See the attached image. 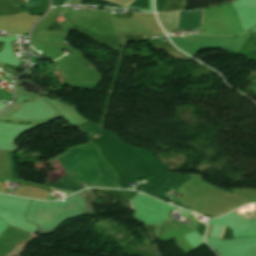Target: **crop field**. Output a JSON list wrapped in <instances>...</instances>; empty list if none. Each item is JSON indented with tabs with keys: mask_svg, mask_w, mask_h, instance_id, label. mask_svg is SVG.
I'll return each instance as SVG.
<instances>
[{
	"mask_svg": "<svg viewBox=\"0 0 256 256\" xmlns=\"http://www.w3.org/2000/svg\"><path fill=\"white\" fill-rule=\"evenodd\" d=\"M29 1H32V0H28V2H29Z\"/></svg>",
	"mask_w": 256,
	"mask_h": 256,
	"instance_id": "4",
	"label": "crop field"
},
{
	"mask_svg": "<svg viewBox=\"0 0 256 256\" xmlns=\"http://www.w3.org/2000/svg\"><path fill=\"white\" fill-rule=\"evenodd\" d=\"M40 4H42V0H41V1H38V2H35V3H32V4H28V5L26 6V8L32 7V6H36V5H40Z\"/></svg>",
	"mask_w": 256,
	"mask_h": 256,
	"instance_id": "2",
	"label": "crop field"
},
{
	"mask_svg": "<svg viewBox=\"0 0 256 256\" xmlns=\"http://www.w3.org/2000/svg\"><path fill=\"white\" fill-rule=\"evenodd\" d=\"M202 10L191 11V12H170V13H157L159 21L165 31L178 28L179 24V15H180V24L179 28L193 29L200 26ZM204 12V10H203ZM203 16V13H202ZM202 24V20H201Z\"/></svg>",
	"mask_w": 256,
	"mask_h": 256,
	"instance_id": "1",
	"label": "crop field"
},
{
	"mask_svg": "<svg viewBox=\"0 0 256 256\" xmlns=\"http://www.w3.org/2000/svg\"><path fill=\"white\" fill-rule=\"evenodd\" d=\"M224 227H225V226H223V228H222V232H221V236H220V238L222 237V234H223V230H224Z\"/></svg>",
	"mask_w": 256,
	"mask_h": 256,
	"instance_id": "3",
	"label": "crop field"
}]
</instances>
